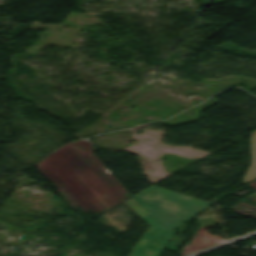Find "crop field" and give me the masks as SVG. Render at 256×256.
<instances>
[{"label":"crop field","mask_w":256,"mask_h":256,"mask_svg":"<svg viewBox=\"0 0 256 256\" xmlns=\"http://www.w3.org/2000/svg\"><path fill=\"white\" fill-rule=\"evenodd\" d=\"M123 203L125 205H127L131 210H133L141 218L146 216L147 214L151 213L143 205H141L137 200H135L133 197Z\"/></svg>","instance_id":"crop-field-2"},{"label":"crop field","mask_w":256,"mask_h":256,"mask_svg":"<svg viewBox=\"0 0 256 256\" xmlns=\"http://www.w3.org/2000/svg\"><path fill=\"white\" fill-rule=\"evenodd\" d=\"M129 256H133V255H129Z\"/></svg>","instance_id":"crop-field-3"},{"label":"crop field","mask_w":256,"mask_h":256,"mask_svg":"<svg viewBox=\"0 0 256 256\" xmlns=\"http://www.w3.org/2000/svg\"><path fill=\"white\" fill-rule=\"evenodd\" d=\"M133 197L152 212L142 218L150 226L131 252L137 256H159L178 226L213 205L154 185Z\"/></svg>","instance_id":"crop-field-1"}]
</instances>
